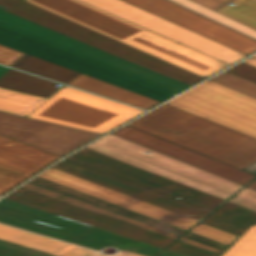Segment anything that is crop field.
Returning a JSON list of instances; mask_svg holds the SVG:
<instances>
[{"instance_id":"26","label":"crop field","mask_w":256,"mask_h":256,"mask_svg":"<svg viewBox=\"0 0 256 256\" xmlns=\"http://www.w3.org/2000/svg\"><path fill=\"white\" fill-rule=\"evenodd\" d=\"M256 30V0H193ZM234 6L228 5L229 3Z\"/></svg>"},{"instance_id":"19","label":"crop field","mask_w":256,"mask_h":256,"mask_svg":"<svg viewBox=\"0 0 256 256\" xmlns=\"http://www.w3.org/2000/svg\"><path fill=\"white\" fill-rule=\"evenodd\" d=\"M186 93L256 119V98L210 80L201 83Z\"/></svg>"},{"instance_id":"1","label":"crop field","mask_w":256,"mask_h":256,"mask_svg":"<svg viewBox=\"0 0 256 256\" xmlns=\"http://www.w3.org/2000/svg\"><path fill=\"white\" fill-rule=\"evenodd\" d=\"M129 125L240 169L256 161V139L166 104Z\"/></svg>"},{"instance_id":"15","label":"crop field","mask_w":256,"mask_h":256,"mask_svg":"<svg viewBox=\"0 0 256 256\" xmlns=\"http://www.w3.org/2000/svg\"><path fill=\"white\" fill-rule=\"evenodd\" d=\"M52 168L110 188L112 190L130 195L132 197L150 202L197 221L209 213V211L204 209L170 198L168 196L140 187L138 185L110 176L67 159L61 161Z\"/></svg>"},{"instance_id":"34","label":"crop field","mask_w":256,"mask_h":256,"mask_svg":"<svg viewBox=\"0 0 256 256\" xmlns=\"http://www.w3.org/2000/svg\"><path fill=\"white\" fill-rule=\"evenodd\" d=\"M228 201L256 212V191L248 187L241 190Z\"/></svg>"},{"instance_id":"13","label":"crop field","mask_w":256,"mask_h":256,"mask_svg":"<svg viewBox=\"0 0 256 256\" xmlns=\"http://www.w3.org/2000/svg\"><path fill=\"white\" fill-rule=\"evenodd\" d=\"M4 198L14 200L29 206H33L48 212L68 217L163 248L167 247L169 244L175 241L173 239H169L138 229L136 227L109 219L107 217L89 212L87 210L69 205L67 203L49 198L47 196L29 191L21 187L9 193Z\"/></svg>"},{"instance_id":"35","label":"crop field","mask_w":256,"mask_h":256,"mask_svg":"<svg viewBox=\"0 0 256 256\" xmlns=\"http://www.w3.org/2000/svg\"><path fill=\"white\" fill-rule=\"evenodd\" d=\"M167 249H170L185 255H189V256H219L179 241L174 242Z\"/></svg>"},{"instance_id":"45","label":"crop field","mask_w":256,"mask_h":256,"mask_svg":"<svg viewBox=\"0 0 256 256\" xmlns=\"http://www.w3.org/2000/svg\"><path fill=\"white\" fill-rule=\"evenodd\" d=\"M252 57L256 58V55H254V56H252Z\"/></svg>"},{"instance_id":"21","label":"crop field","mask_w":256,"mask_h":256,"mask_svg":"<svg viewBox=\"0 0 256 256\" xmlns=\"http://www.w3.org/2000/svg\"><path fill=\"white\" fill-rule=\"evenodd\" d=\"M68 84L147 110L160 103L82 74Z\"/></svg>"},{"instance_id":"27","label":"crop field","mask_w":256,"mask_h":256,"mask_svg":"<svg viewBox=\"0 0 256 256\" xmlns=\"http://www.w3.org/2000/svg\"><path fill=\"white\" fill-rule=\"evenodd\" d=\"M12 67L67 84L79 73L25 54Z\"/></svg>"},{"instance_id":"29","label":"crop field","mask_w":256,"mask_h":256,"mask_svg":"<svg viewBox=\"0 0 256 256\" xmlns=\"http://www.w3.org/2000/svg\"><path fill=\"white\" fill-rule=\"evenodd\" d=\"M222 256H256V225L246 230Z\"/></svg>"},{"instance_id":"23","label":"crop field","mask_w":256,"mask_h":256,"mask_svg":"<svg viewBox=\"0 0 256 256\" xmlns=\"http://www.w3.org/2000/svg\"><path fill=\"white\" fill-rule=\"evenodd\" d=\"M57 83L9 69L0 78V87L49 98L60 88Z\"/></svg>"},{"instance_id":"2","label":"crop field","mask_w":256,"mask_h":256,"mask_svg":"<svg viewBox=\"0 0 256 256\" xmlns=\"http://www.w3.org/2000/svg\"><path fill=\"white\" fill-rule=\"evenodd\" d=\"M204 78L229 65L78 0H27Z\"/></svg>"},{"instance_id":"33","label":"crop field","mask_w":256,"mask_h":256,"mask_svg":"<svg viewBox=\"0 0 256 256\" xmlns=\"http://www.w3.org/2000/svg\"><path fill=\"white\" fill-rule=\"evenodd\" d=\"M203 118L211 120L213 122H216L218 124L224 125L226 127H229L231 129L237 130L239 132H242L244 134H247V135H250V136L256 138V130L255 129L245 126L243 124H240V123L233 121L231 119H228L226 117H223L214 112L204 116Z\"/></svg>"},{"instance_id":"32","label":"crop field","mask_w":256,"mask_h":256,"mask_svg":"<svg viewBox=\"0 0 256 256\" xmlns=\"http://www.w3.org/2000/svg\"><path fill=\"white\" fill-rule=\"evenodd\" d=\"M189 231L222 242L227 245H229L233 240L237 238V236L206 226L201 223L197 224Z\"/></svg>"},{"instance_id":"24","label":"crop field","mask_w":256,"mask_h":256,"mask_svg":"<svg viewBox=\"0 0 256 256\" xmlns=\"http://www.w3.org/2000/svg\"><path fill=\"white\" fill-rule=\"evenodd\" d=\"M29 182H32V183H35V184H38V185H41V186H44V187L53 189V190H55V191H58V192H61V193H64V194H67V195H70V196L79 198V199H81V200H84V201H87V202H90V203L99 205V206H101V207H104V208L113 210V211H115V212L124 214V215H126V216L135 218V219H137V220L146 222V223H148V224H151V225H154V226H157V227L166 229V230H168V231H171V232H174V233H177V234H180V235H182L184 232H186V230H183V229H181V228H178V227L169 225V224H167V223H164V222H161V221L152 219V218H150V217H147V216H144V215L135 213V212H133V211H130V210H127V209L118 207V206H116V205H113V204H110V203H107V202L98 200V199H96V198H93V197H90V196L81 194V193H79V192H76V191L67 189V188H65V187L59 186V185H57V184L51 183V182H49V181L43 180V179L38 178V177H36V178L30 180Z\"/></svg>"},{"instance_id":"10","label":"crop field","mask_w":256,"mask_h":256,"mask_svg":"<svg viewBox=\"0 0 256 256\" xmlns=\"http://www.w3.org/2000/svg\"><path fill=\"white\" fill-rule=\"evenodd\" d=\"M229 65L246 55L121 0H80Z\"/></svg>"},{"instance_id":"3","label":"crop field","mask_w":256,"mask_h":256,"mask_svg":"<svg viewBox=\"0 0 256 256\" xmlns=\"http://www.w3.org/2000/svg\"><path fill=\"white\" fill-rule=\"evenodd\" d=\"M0 7H4L3 10L6 12L49 28L104 52L139 64L189 86L204 79L25 0H0Z\"/></svg>"},{"instance_id":"40","label":"crop field","mask_w":256,"mask_h":256,"mask_svg":"<svg viewBox=\"0 0 256 256\" xmlns=\"http://www.w3.org/2000/svg\"><path fill=\"white\" fill-rule=\"evenodd\" d=\"M158 256H185V255H182V254H179V253H176V252L165 249V251L162 252Z\"/></svg>"},{"instance_id":"37","label":"crop field","mask_w":256,"mask_h":256,"mask_svg":"<svg viewBox=\"0 0 256 256\" xmlns=\"http://www.w3.org/2000/svg\"><path fill=\"white\" fill-rule=\"evenodd\" d=\"M23 55L24 53L0 45V63L2 64L11 66Z\"/></svg>"},{"instance_id":"25","label":"crop field","mask_w":256,"mask_h":256,"mask_svg":"<svg viewBox=\"0 0 256 256\" xmlns=\"http://www.w3.org/2000/svg\"><path fill=\"white\" fill-rule=\"evenodd\" d=\"M166 104L193 113L200 117L214 111L216 113H219L223 116H226L228 118H231L233 120H236L240 123H243L256 129V120H253L251 118H248L246 116H243L241 114L230 111L228 109H225L223 107H220L218 105H215L213 103L191 96L186 93L176 97L175 99L167 102Z\"/></svg>"},{"instance_id":"38","label":"crop field","mask_w":256,"mask_h":256,"mask_svg":"<svg viewBox=\"0 0 256 256\" xmlns=\"http://www.w3.org/2000/svg\"><path fill=\"white\" fill-rule=\"evenodd\" d=\"M184 237H187V238H190V239H193V240H196V241H199V242H202V243H205V244H208V245H211V246L223 249V250H225L228 247L227 245H224L222 243H219V242L210 240L208 238L196 235L191 232L187 233Z\"/></svg>"},{"instance_id":"8","label":"crop field","mask_w":256,"mask_h":256,"mask_svg":"<svg viewBox=\"0 0 256 256\" xmlns=\"http://www.w3.org/2000/svg\"><path fill=\"white\" fill-rule=\"evenodd\" d=\"M0 27L175 94L189 86L0 10Z\"/></svg>"},{"instance_id":"22","label":"crop field","mask_w":256,"mask_h":256,"mask_svg":"<svg viewBox=\"0 0 256 256\" xmlns=\"http://www.w3.org/2000/svg\"><path fill=\"white\" fill-rule=\"evenodd\" d=\"M202 221L241 235L256 221V213L227 202Z\"/></svg>"},{"instance_id":"42","label":"crop field","mask_w":256,"mask_h":256,"mask_svg":"<svg viewBox=\"0 0 256 256\" xmlns=\"http://www.w3.org/2000/svg\"><path fill=\"white\" fill-rule=\"evenodd\" d=\"M242 62L247 63V64H249V65H252V66L256 67V59H254V58H252V57H250V58H248V59H246V60H244V61H242Z\"/></svg>"},{"instance_id":"39","label":"crop field","mask_w":256,"mask_h":256,"mask_svg":"<svg viewBox=\"0 0 256 256\" xmlns=\"http://www.w3.org/2000/svg\"><path fill=\"white\" fill-rule=\"evenodd\" d=\"M179 241L188 243V244H190V245H193V246H196V247H199V248L208 250V251H210V252H213V253H216V254H219V255H221L222 252H223V250H220V249H217V248H214V247H211V246H208V245H205V244H202V243H199V242H196V241H193V240L184 238V237H182L181 239H179Z\"/></svg>"},{"instance_id":"30","label":"crop field","mask_w":256,"mask_h":256,"mask_svg":"<svg viewBox=\"0 0 256 256\" xmlns=\"http://www.w3.org/2000/svg\"><path fill=\"white\" fill-rule=\"evenodd\" d=\"M172 1L177 2V3H179L183 6H186V7L190 8L194 11H197V12H199V13L205 15V16H208V17H210V18H212L216 21H219V22H221L225 25H228L232 28H235V29H237L241 32H244V33H246L248 35H251V36L256 38V31L255 30H253V29H251L247 26H244V25H242V24H240L236 21H233V20H231L227 17H224V16H222V15L216 13V12H213V11H211V10H209V9L203 7V6H200V5L194 3L190 0H172Z\"/></svg>"},{"instance_id":"46","label":"crop field","mask_w":256,"mask_h":256,"mask_svg":"<svg viewBox=\"0 0 256 256\" xmlns=\"http://www.w3.org/2000/svg\"><path fill=\"white\" fill-rule=\"evenodd\" d=\"M255 224H256V222H255Z\"/></svg>"},{"instance_id":"14","label":"crop field","mask_w":256,"mask_h":256,"mask_svg":"<svg viewBox=\"0 0 256 256\" xmlns=\"http://www.w3.org/2000/svg\"><path fill=\"white\" fill-rule=\"evenodd\" d=\"M38 177L79 191L81 193L99 198L101 200L116 204L118 206L133 210L135 212L150 216L152 218L167 222L169 224L188 230L197 221L149 204L147 202L132 198L130 196L112 191L55 169H48Z\"/></svg>"},{"instance_id":"36","label":"crop field","mask_w":256,"mask_h":256,"mask_svg":"<svg viewBox=\"0 0 256 256\" xmlns=\"http://www.w3.org/2000/svg\"><path fill=\"white\" fill-rule=\"evenodd\" d=\"M227 71L256 82V68L242 62L238 63Z\"/></svg>"},{"instance_id":"9","label":"crop field","mask_w":256,"mask_h":256,"mask_svg":"<svg viewBox=\"0 0 256 256\" xmlns=\"http://www.w3.org/2000/svg\"><path fill=\"white\" fill-rule=\"evenodd\" d=\"M0 44L160 102L175 95L2 28H0Z\"/></svg>"},{"instance_id":"18","label":"crop field","mask_w":256,"mask_h":256,"mask_svg":"<svg viewBox=\"0 0 256 256\" xmlns=\"http://www.w3.org/2000/svg\"><path fill=\"white\" fill-rule=\"evenodd\" d=\"M0 239L28 246L56 256H106L104 254L42 237L0 224ZM120 250V249H119ZM116 256H143L124 250Z\"/></svg>"},{"instance_id":"6","label":"crop field","mask_w":256,"mask_h":256,"mask_svg":"<svg viewBox=\"0 0 256 256\" xmlns=\"http://www.w3.org/2000/svg\"><path fill=\"white\" fill-rule=\"evenodd\" d=\"M142 112L65 86L27 117L104 134Z\"/></svg>"},{"instance_id":"4","label":"crop field","mask_w":256,"mask_h":256,"mask_svg":"<svg viewBox=\"0 0 256 256\" xmlns=\"http://www.w3.org/2000/svg\"><path fill=\"white\" fill-rule=\"evenodd\" d=\"M0 222L97 250L108 244L154 256L163 249L4 198L0 199Z\"/></svg>"},{"instance_id":"31","label":"crop field","mask_w":256,"mask_h":256,"mask_svg":"<svg viewBox=\"0 0 256 256\" xmlns=\"http://www.w3.org/2000/svg\"><path fill=\"white\" fill-rule=\"evenodd\" d=\"M210 80L256 97V83L227 71L211 78Z\"/></svg>"},{"instance_id":"16","label":"crop field","mask_w":256,"mask_h":256,"mask_svg":"<svg viewBox=\"0 0 256 256\" xmlns=\"http://www.w3.org/2000/svg\"><path fill=\"white\" fill-rule=\"evenodd\" d=\"M245 186L256 176L129 125L111 133Z\"/></svg>"},{"instance_id":"11","label":"crop field","mask_w":256,"mask_h":256,"mask_svg":"<svg viewBox=\"0 0 256 256\" xmlns=\"http://www.w3.org/2000/svg\"><path fill=\"white\" fill-rule=\"evenodd\" d=\"M67 159L160 192L173 198L179 196L181 197L179 200L209 211L223 202L221 199L191 189L184 185L154 175L147 171L125 164L86 148L70 155L67 157Z\"/></svg>"},{"instance_id":"5","label":"crop field","mask_w":256,"mask_h":256,"mask_svg":"<svg viewBox=\"0 0 256 256\" xmlns=\"http://www.w3.org/2000/svg\"><path fill=\"white\" fill-rule=\"evenodd\" d=\"M113 135L109 134L86 148L223 200L243 188L241 185L212 173ZM146 150L150 152L144 153Z\"/></svg>"},{"instance_id":"17","label":"crop field","mask_w":256,"mask_h":256,"mask_svg":"<svg viewBox=\"0 0 256 256\" xmlns=\"http://www.w3.org/2000/svg\"><path fill=\"white\" fill-rule=\"evenodd\" d=\"M59 157L0 135V163L7 166L34 175Z\"/></svg>"},{"instance_id":"41","label":"crop field","mask_w":256,"mask_h":256,"mask_svg":"<svg viewBox=\"0 0 256 256\" xmlns=\"http://www.w3.org/2000/svg\"><path fill=\"white\" fill-rule=\"evenodd\" d=\"M243 170L247 171V172H250L254 175H256V162L246 168H244Z\"/></svg>"},{"instance_id":"20","label":"crop field","mask_w":256,"mask_h":256,"mask_svg":"<svg viewBox=\"0 0 256 256\" xmlns=\"http://www.w3.org/2000/svg\"><path fill=\"white\" fill-rule=\"evenodd\" d=\"M21 187L27 188L29 190H32V191H35V192L47 195L49 197H52V198H55V199L67 202L69 204H72V205H75V206L87 209L89 211H92V212H95V213L107 216L109 218H112V219H115V220H118V221L130 224V225L139 227L141 229H144V230H147V231H150V232L162 235V236L173 238L175 240L178 237H180V235H177V234L168 232L166 230H163V229H160V228L148 225L146 223L137 221L135 219L126 217L124 215L115 213L113 211L101 208L99 206H96V205H93V204L81 201L79 199H76V198H73V197H70V196H67V195L55 192L53 190H50V189H47V188H44V187H41V186H38V185H35V184H32V183H29V182L25 183Z\"/></svg>"},{"instance_id":"7","label":"crop field","mask_w":256,"mask_h":256,"mask_svg":"<svg viewBox=\"0 0 256 256\" xmlns=\"http://www.w3.org/2000/svg\"><path fill=\"white\" fill-rule=\"evenodd\" d=\"M0 134L60 156L100 136V134L76 128L1 112ZM31 176L0 164V195Z\"/></svg>"},{"instance_id":"44","label":"crop field","mask_w":256,"mask_h":256,"mask_svg":"<svg viewBox=\"0 0 256 256\" xmlns=\"http://www.w3.org/2000/svg\"><path fill=\"white\" fill-rule=\"evenodd\" d=\"M248 187L256 190V180L254 182H252L250 185H248Z\"/></svg>"},{"instance_id":"12","label":"crop field","mask_w":256,"mask_h":256,"mask_svg":"<svg viewBox=\"0 0 256 256\" xmlns=\"http://www.w3.org/2000/svg\"><path fill=\"white\" fill-rule=\"evenodd\" d=\"M198 34L240 51H256V40L167 0H123Z\"/></svg>"},{"instance_id":"28","label":"crop field","mask_w":256,"mask_h":256,"mask_svg":"<svg viewBox=\"0 0 256 256\" xmlns=\"http://www.w3.org/2000/svg\"><path fill=\"white\" fill-rule=\"evenodd\" d=\"M45 100L47 99L0 88L1 112L26 117Z\"/></svg>"},{"instance_id":"43","label":"crop field","mask_w":256,"mask_h":256,"mask_svg":"<svg viewBox=\"0 0 256 256\" xmlns=\"http://www.w3.org/2000/svg\"><path fill=\"white\" fill-rule=\"evenodd\" d=\"M7 70L8 68L0 65V76H2Z\"/></svg>"}]
</instances>
